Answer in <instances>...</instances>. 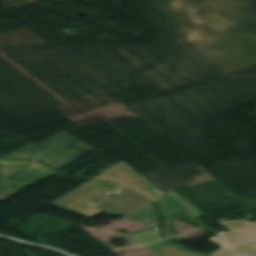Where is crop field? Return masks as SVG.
<instances>
[{
  "mask_svg": "<svg viewBox=\"0 0 256 256\" xmlns=\"http://www.w3.org/2000/svg\"><path fill=\"white\" fill-rule=\"evenodd\" d=\"M92 150L94 149L73 137L35 159L59 170Z\"/></svg>",
  "mask_w": 256,
  "mask_h": 256,
  "instance_id": "3",
  "label": "crop field"
},
{
  "mask_svg": "<svg viewBox=\"0 0 256 256\" xmlns=\"http://www.w3.org/2000/svg\"><path fill=\"white\" fill-rule=\"evenodd\" d=\"M130 236L133 238V240L136 243L140 245L151 242V241L163 239V237L159 234V230L152 232L149 229L140 231L134 234H130Z\"/></svg>",
  "mask_w": 256,
  "mask_h": 256,
  "instance_id": "9",
  "label": "crop field"
},
{
  "mask_svg": "<svg viewBox=\"0 0 256 256\" xmlns=\"http://www.w3.org/2000/svg\"><path fill=\"white\" fill-rule=\"evenodd\" d=\"M151 256H158V255L154 254V255H151Z\"/></svg>",
  "mask_w": 256,
  "mask_h": 256,
  "instance_id": "13",
  "label": "crop field"
},
{
  "mask_svg": "<svg viewBox=\"0 0 256 256\" xmlns=\"http://www.w3.org/2000/svg\"><path fill=\"white\" fill-rule=\"evenodd\" d=\"M158 212L165 218V222L163 225V234L166 237L171 236L169 231V223L171 216L184 210L180 206H178L175 202H173L167 196L156 201Z\"/></svg>",
  "mask_w": 256,
  "mask_h": 256,
  "instance_id": "7",
  "label": "crop field"
},
{
  "mask_svg": "<svg viewBox=\"0 0 256 256\" xmlns=\"http://www.w3.org/2000/svg\"><path fill=\"white\" fill-rule=\"evenodd\" d=\"M116 194L118 195L103 201L84 213L82 216L91 218L101 212H104L114 217H125L151 204V202L147 201L142 196L125 188H122Z\"/></svg>",
  "mask_w": 256,
  "mask_h": 256,
  "instance_id": "1",
  "label": "crop field"
},
{
  "mask_svg": "<svg viewBox=\"0 0 256 256\" xmlns=\"http://www.w3.org/2000/svg\"><path fill=\"white\" fill-rule=\"evenodd\" d=\"M221 225L230 230L228 232L218 234L219 237L228 244L239 240L256 237V222H228L222 223Z\"/></svg>",
  "mask_w": 256,
  "mask_h": 256,
  "instance_id": "6",
  "label": "crop field"
},
{
  "mask_svg": "<svg viewBox=\"0 0 256 256\" xmlns=\"http://www.w3.org/2000/svg\"><path fill=\"white\" fill-rule=\"evenodd\" d=\"M168 197H170L173 201L183 207L186 211H188L195 218L202 217L198 211H196L191 204L185 201L182 197H180L176 192L172 191L169 193H165Z\"/></svg>",
  "mask_w": 256,
  "mask_h": 256,
  "instance_id": "10",
  "label": "crop field"
},
{
  "mask_svg": "<svg viewBox=\"0 0 256 256\" xmlns=\"http://www.w3.org/2000/svg\"><path fill=\"white\" fill-rule=\"evenodd\" d=\"M71 137H72L71 135L65 132H60L37 145L30 143L4 158L34 159L36 156L44 153L45 151L53 148L54 146L64 142L65 140Z\"/></svg>",
  "mask_w": 256,
  "mask_h": 256,
  "instance_id": "4",
  "label": "crop field"
},
{
  "mask_svg": "<svg viewBox=\"0 0 256 256\" xmlns=\"http://www.w3.org/2000/svg\"><path fill=\"white\" fill-rule=\"evenodd\" d=\"M221 249L213 256H256V238L236 242L228 245L219 237L210 238Z\"/></svg>",
  "mask_w": 256,
  "mask_h": 256,
  "instance_id": "5",
  "label": "crop field"
},
{
  "mask_svg": "<svg viewBox=\"0 0 256 256\" xmlns=\"http://www.w3.org/2000/svg\"><path fill=\"white\" fill-rule=\"evenodd\" d=\"M31 163L33 162L20 160H0V180Z\"/></svg>",
  "mask_w": 256,
  "mask_h": 256,
  "instance_id": "8",
  "label": "crop field"
},
{
  "mask_svg": "<svg viewBox=\"0 0 256 256\" xmlns=\"http://www.w3.org/2000/svg\"><path fill=\"white\" fill-rule=\"evenodd\" d=\"M137 218H139L140 220L144 221V222H149L157 217H159V215H157L154 212V204H151L133 214H131Z\"/></svg>",
  "mask_w": 256,
  "mask_h": 256,
  "instance_id": "11",
  "label": "crop field"
},
{
  "mask_svg": "<svg viewBox=\"0 0 256 256\" xmlns=\"http://www.w3.org/2000/svg\"><path fill=\"white\" fill-rule=\"evenodd\" d=\"M172 245H175V244L168 241V240H165V241H160V242L150 244V245H147V246H144V247H146V248H148L152 251H155V250L162 249V248L172 246Z\"/></svg>",
  "mask_w": 256,
  "mask_h": 256,
  "instance_id": "12",
  "label": "crop field"
},
{
  "mask_svg": "<svg viewBox=\"0 0 256 256\" xmlns=\"http://www.w3.org/2000/svg\"><path fill=\"white\" fill-rule=\"evenodd\" d=\"M53 172L55 171L46 165L40 162H34L33 164L0 181V200L35 184L40 179L52 174Z\"/></svg>",
  "mask_w": 256,
  "mask_h": 256,
  "instance_id": "2",
  "label": "crop field"
}]
</instances>
